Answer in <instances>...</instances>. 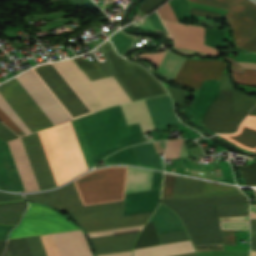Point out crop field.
I'll list each match as a JSON object with an SVG mask.
<instances>
[{
    "label": "crop field",
    "instance_id": "67",
    "mask_svg": "<svg viewBox=\"0 0 256 256\" xmlns=\"http://www.w3.org/2000/svg\"><path fill=\"white\" fill-rule=\"evenodd\" d=\"M100 256H132L131 251L128 252H121V253H114V254H107V255H100Z\"/></svg>",
    "mask_w": 256,
    "mask_h": 256
},
{
    "label": "crop field",
    "instance_id": "39",
    "mask_svg": "<svg viewBox=\"0 0 256 256\" xmlns=\"http://www.w3.org/2000/svg\"><path fill=\"white\" fill-rule=\"evenodd\" d=\"M219 217L249 215L248 204L217 206Z\"/></svg>",
    "mask_w": 256,
    "mask_h": 256
},
{
    "label": "crop field",
    "instance_id": "50",
    "mask_svg": "<svg viewBox=\"0 0 256 256\" xmlns=\"http://www.w3.org/2000/svg\"><path fill=\"white\" fill-rule=\"evenodd\" d=\"M221 229L249 230L248 221L220 222Z\"/></svg>",
    "mask_w": 256,
    "mask_h": 256
},
{
    "label": "crop field",
    "instance_id": "17",
    "mask_svg": "<svg viewBox=\"0 0 256 256\" xmlns=\"http://www.w3.org/2000/svg\"><path fill=\"white\" fill-rule=\"evenodd\" d=\"M27 200L45 204L55 209L83 206L73 182L49 192L25 195Z\"/></svg>",
    "mask_w": 256,
    "mask_h": 256
},
{
    "label": "crop field",
    "instance_id": "35",
    "mask_svg": "<svg viewBox=\"0 0 256 256\" xmlns=\"http://www.w3.org/2000/svg\"><path fill=\"white\" fill-rule=\"evenodd\" d=\"M105 161L106 163H128V164H135L140 166V163L137 159V156L132 146L122 149L106 157Z\"/></svg>",
    "mask_w": 256,
    "mask_h": 256
},
{
    "label": "crop field",
    "instance_id": "1",
    "mask_svg": "<svg viewBox=\"0 0 256 256\" xmlns=\"http://www.w3.org/2000/svg\"><path fill=\"white\" fill-rule=\"evenodd\" d=\"M71 122L88 168L120 148L145 142L138 123L127 126L120 105Z\"/></svg>",
    "mask_w": 256,
    "mask_h": 256
},
{
    "label": "crop field",
    "instance_id": "43",
    "mask_svg": "<svg viewBox=\"0 0 256 256\" xmlns=\"http://www.w3.org/2000/svg\"><path fill=\"white\" fill-rule=\"evenodd\" d=\"M0 108L6 113V115L26 134H31L22 121L18 118L15 112L11 109L8 103L0 95Z\"/></svg>",
    "mask_w": 256,
    "mask_h": 256
},
{
    "label": "crop field",
    "instance_id": "8",
    "mask_svg": "<svg viewBox=\"0 0 256 256\" xmlns=\"http://www.w3.org/2000/svg\"><path fill=\"white\" fill-rule=\"evenodd\" d=\"M32 69L72 119L91 113L53 63L43 64Z\"/></svg>",
    "mask_w": 256,
    "mask_h": 256
},
{
    "label": "crop field",
    "instance_id": "64",
    "mask_svg": "<svg viewBox=\"0 0 256 256\" xmlns=\"http://www.w3.org/2000/svg\"><path fill=\"white\" fill-rule=\"evenodd\" d=\"M90 53H91V55L93 56L92 52H90ZM93 57H94V56H93ZM94 59H95V57H94ZM95 61H96V63L98 64L99 68L102 70V72H103V74L105 75V77L112 75L111 72H110V70H109V67H108L106 61L100 62V63H98L96 59H95Z\"/></svg>",
    "mask_w": 256,
    "mask_h": 256
},
{
    "label": "crop field",
    "instance_id": "18",
    "mask_svg": "<svg viewBox=\"0 0 256 256\" xmlns=\"http://www.w3.org/2000/svg\"><path fill=\"white\" fill-rule=\"evenodd\" d=\"M0 189L25 191L8 144L0 139Z\"/></svg>",
    "mask_w": 256,
    "mask_h": 256
},
{
    "label": "crop field",
    "instance_id": "36",
    "mask_svg": "<svg viewBox=\"0 0 256 256\" xmlns=\"http://www.w3.org/2000/svg\"><path fill=\"white\" fill-rule=\"evenodd\" d=\"M243 194L237 187L205 182L203 196H222Z\"/></svg>",
    "mask_w": 256,
    "mask_h": 256
},
{
    "label": "crop field",
    "instance_id": "40",
    "mask_svg": "<svg viewBox=\"0 0 256 256\" xmlns=\"http://www.w3.org/2000/svg\"><path fill=\"white\" fill-rule=\"evenodd\" d=\"M224 32L205 28V44L214 48L227 46L224 42Z\"/></svg>",
    "mask_w": 256,
    "mask_h": 256
},
{
    "label": "crop field",
    "instance_id": "48",
    "mask_svg": "<svg viewBox=\"0 0 256 256\" xmlns=\"http://www.w3.org/2000/svg\"><path fill=\"white\" fill-rule=\"evenodd\" d=\"M243 174L245 185H256V163L249 167L240 168Z\"/></svg>",
    "mask_w": 256,
    "mask_h": 256
},
{
    "label": "crop field",
    "instance_id": "72",
    "mask_svg": "<svg viewBox=\"0 0 256 256\" xmlns=\"http://www.w3.org/2000/svg\"><path fill=\"white\" fill-rule=\"evenodd\" d=\"M249 114L250 115H256V107Z\"/></svg>",
    "mask_w": 256,
    "mask_h": 256
},
{
    "label": "crop field",
    "instance_id": "42",
    "mask_svg": "<svg viewBox=\"0 0 256 256\" xmlns=\"http://www.w3.org/2000/svg\"><path fill=\"white\" fill-rule=\"evenodd\" d=\"M168 3L171 5L178 22L186 16L191 8L187 0H170Z\"/></svg>",
    "mask_w": 256,
    "mask_h": 256
},
{
    "label": "crop field",
    "instance_id": "34",
    "mask_svg": "<svg viewBox=\"0 0 256 256\" xmlns=\"http://www.w3.org/2000/svg\"><path fill=\"white\" fill-rule=\"evenodd\" d=\"M133 147L141 164L162 167L151 142Z\"/></svg>",
    "mask_w": 256,
    "mask_h": 256
},
{
    "label": "crop field",
    "instance_id": "20",
    "mask_svg": "<svg viewBox=\"0 0 256 256\" xmlns=\"http://www.w3.org/2000/svg\"><path fill=\"white\" fill-rule=\"evenodd\" d=\"M139 231L90 239L96 255L128 251Z\"/></svg>",
    "mask_w": 256,
    "mask_h": 256
},
{
    "label": "crop field",
    "instance_id": "14",
    "mask_svg": "<svg viewBox=\"0 0 256 256\" xmlns=\"http://www.w3.org/2000/svg\"><path fill=\"white\" fill-rule=\"evenodd\" d=\"M224 69L225 64L221 61L186 60L174 83L198 89L206 79H220Z\"/></svg>",
    "mask_w": 256,
    "mask_h": 256
},
{
    "label": "crop field",
    "instance_id": "10",
    "mask_svg": "<svg viewBox=\"0 0 256 256\" xmlns=\"http://www.w3.org/2000/svg\"><path fill=\"white\" fill-rule=\"evenodd\" d=\"M15 78L53 125L71 120L70 116L49 92V90L45 87L32 69Z\"/></svg>",
    "mask_w": 256,
    "mask_h": 256
},
{
    "label": "crop field",
    "instance_id": "51",
    "mask_svg": "<svg viewBox=\"0 0 256 256\" xmlns=\"http://www.w3.org/2000/svg\"><path fill=\"white\" fill-rule=\"evenodd\" d=\"M165 1L166 0H144L143 3L140 5L139 9L146 14L157 8Z\"/></svg>",
    "mask_w": 256,
    "mask_h": 256
},
{
    "label": "crop field",
    "instance_id": "60",
    "mask_svg": "<svg viewBox=\"0 0 256 256\" xmlns=\"http://www.w3.org/2000/svg\"><path fill=\"white\" fill-rule=\"evenodd\" d=\"M74 60L79 65V67L81 69H83L84 71H89V70H93V69H97L98 68L96 63L92 64V63H89V62H85L81 58H75Z\"/></svg>",
    "mask_w": 256,
    "mask_h": 256
},
{
    "label": "crop field",
    "instance_id": "57",
    "mask_svg": "<svg viewBox=\"0 0 256 256\" xmlns=\"http://www.w3.org/2000/svg\"><path fill=\"white\" fill-rule=\"evenodd\" d=\"M0 138L8 141L11 139L18 138L11 130H9L6 126L0 123Z\"/></svg>",
    "mask_w": 256,
    "mask_h": 256
},
{
    "label": "crop field",
    "instance_id": "5",
    "mask_svg": "<svg viewBox=\"0 0 256 256\" xmlns=\"http://www.w3.org/2000/svg\"><path fill=\"white\" fill-rule=\"evenodd\" d=\"M54 64L92 112L132 101L113 76L91 82L72 59Z\"/></svg>",
    "mask_w": 256,
    "mask_h": 256
},
{
    "label": "crop field",
    "instance_id": "26",
    "mask_svg": "<svg viewBox=\"0 0 256 256\" xmlns=\"http://www.w3.org/2000/svg\"><path fill=\"white\" fill-rule=\"evenodd\" d=\"M219 93V80L204 81L199 92L196 104L190 110V114L202 121L209 106Z\"/></svg>",
    "mask_w": 256,
    "mask_h": 256
},
{
    "label": "crop field",
    "instance_id": "28",
    "mask_svg": "<svg viewBox=\"0 0 256 256\" xmlns=\"http://www.w3.org/2000/svg\"><path fill=\"white\" fill-rule=\"evenodd\" d=\"M150 222H154L158 234L184 229L177 215L162 203L148 223Z\"/></svg>",
    "mask_w": 256,
    "mask_h": 256
},
{
    "label": "crop field",
    "instance_id": "25",
    "mask_svg": "<svg viewBox=\"0 0 256 256\" xmlns=\"http://www.w3.org/2000/svg\"><path fill=\"white\" fill-rule=\"evenodd\" d=\"M226 138L238 146L256 150V116H247V118L241 123L239 130L235 134H221L219 135Z\"/></svg>",
    "mask_w": 256,
    "mask_h": 256
},
{
    "label": "crop field",
    "instance_id": "71",
    "mask_svg": "<svg viewBox=\"0 0 256 256\" xmlns=\"http://www.w3.org/2000/svg\"><path fill=\"white\" fill-rule=\"evenodd\" d=\"M250 209L256 212V205H250Z\"/></svg>",
    "mask_w": 256,
    "mask_h": 256
},
{
    "label": "crop field",
    "instance_id": "38",
    "mask_svg": "<svg viewBox=\"0 0 256 256\" xmlns=\"http://www.w3.org/2000/svg\"><path fill=\"white\" fill-rule=\"evenodd\" d=\"M10 256H33L26 238L8 240Z\"/></svg>",
    "mask_w": 256,
    "mask_h": 256
},
{
    "label": "crop field",
    "instance_id": "2",
    "mask_svg": "<svg viewBox=\"0 0 256 256\" xmlns=\"http://www.w3.org/2000/svg\"><path fill=\"white\" fill-rule=\"evenodd\" d=\"M127 167L95 170L73 180L84 206L123 200ZM123 201L63 209L75 221L121 215Z\"/></svg>",
    "mask_w": 256,
    "mask_h": 256
},
{
    "label": "crop field",
    "instance_id": "15",
    "mask_svg": "<svg viewBox=\"0 0 256 256\" xmlns=\"http://www.w3.org/2000/svg\"><path fill=\"white\" fill-rule=\"evenodd\" d=\"M26 153L40 189L55 187L38 134L22 137Z\"/></svg>",
    "mask_w": 256,
    "mask_h": 256
},
{
    "label": "crop field",
    "instance_id": "37",
    "mask_svg": "<svg viewBox=\"0 0 256 256\" xmlns=\"http://www.w3.org/2000/svg\"><path fill=\"white\" fill-rule=\"evenodd\" d=\"M21 196L0 192V201L24 199ZM26 208H27V202L20 203V204H6V205H0V212L23 214Z\"/></svg>",
    "mask_w": 256,
    "mask_h": 256
},
{
    "label": "crop field",
    "instance_id": "62",
    "mask_svg": "<svg viewBox=\"0 0 256 256\" xmlns=\"http://www.w3.org/2000/svg\"><path fill=\"white\" fill-rule=\"evenodd\" d=\"M163 173L153 171L151 189L161 187Z\"/></svg>",
    "mask_w": 256,
    "mask_h": 256
},
{
    "label": "crop field",
    "instance_id": "23",
    "mask_svg": "<svg viewBox=\"0 0 256 256\" xmlns=\"http://www.w3.org/2000/svg\"><path fill=\"white\" fill-rule=\"evenodd\" d=\"M159 196L160 189L126 194L123 215L154 211Z\"/></svg>",
    "mask_w": 256,
    "mask_h": 256
},
{
    "label": "crop field",
    "instance_id": "55",
    "mask_svg": "<svg viewBox=\"0 0 256 256\" xmlns=\"http://www.w3.org/2000/svg\"><path fill=\"white\" fill-rule=\"evenodd\" d=\"M147 83L157 93L158 96L167 94L160 82H158L153 76L146 79Z\"/></svg>",
    "mask_w": 256,
    "mask_h": 256
},
{
    "label": "crop field",
    "instance_id": "65",
    "mask_svg": "<svg viewBox=\"0 0 256 256\" xmlns=\"http://www.w3.org/2000/svg\"><path fill=\"white\" fill-rule=\"evenodd\" d=\"M86 74L91 79V81H93L95 79H98V78H103L104 77V75L102 74L100 69L94 70V71H90V72H86Z\"/></svg>",
    "mask_w": 256,
    "mask_h": 256
},
{
    "label": "crop field",
    "instance_id": "59",
    "mask_svg": "<svg viewBox=\"0 0 256 256\" xmlns=\"http://www.w3.org/2000/svg\"><path fill=\"white\" fill-rule=\"evenodd\" d=\"M148 17H149V19H150V21H151V23L153 24V26H154L155 29L166 32V30H165V28H164V26H163V24H162L160 18H159L158 15L156 14V12H154V13L148 15ZM166 33H167V32H166ZM166 33H165V34H166Z\"/></svg>",
    "mask_w": 256,
    "mask_h": 256
},
{
    "label": "crop field",
    "instance_id": "46",
    "mask_svg": "<svg viewBox=\"0 0 256 256\" xmlns=\"http://www.w3.org/2000/svg\"><path fill=\"white\" fill-rule=\"evenodd\" d=\"M175 179V175L165 173L161 199L173 198Z\"/></svg>",
    "mask_w": 256,
    "mask_h": 256
},
{
    "label": "crop field",
    "instance_id": "31",
    "mask_svg": "<svg viewBox=\"0 0 256 256\" xmlns=\"http://www.w3.org/2000/svg\"><path fill=\"white\" fill-rule=\"evenodd\" d=\"M47 256H59L51 234L39 236ZM38 236L29 237L28 242L34 256H46Z\"/></svg>",
    "mask_w": 256,
    "mask_h": 256
},
{
    "label": "crop field",
    "instance_id": "22",
    "mask_svg": "<svg viewBox=\"0 0 256 256\" xmlns=\"http://www.w3.org/2000/svg\"><path fill=\"white\" fill-rule=\"evenodd\" d=\"M152 212L131 215V216H118L112 217L108 219H100L93 221H86L77 223L81 226L85 232L102 230V229H110V228H118V227H126V226H134V225H142L145 224L148 218L151 216Z\"/></svg>",
    "mask_w": 256,
    "mask_h": 256
},
{
    "label": "crop field",
    "instance_id": "29",
    "mask_svg": "<svg viewBox=\"0 0 256 256\" xmlns=\"http://www.w3.org/2000/svg\"><path fill=\"white\" fill-rule=\"evenodd\" d=\"M152 171L128 167L125 193L150 189Z\"/></svg>",
    "mask_w": 256,
    "mask_h": 256
},
{
    "label": "crop field",
    "instance_id": "24",
    "mask_svg": "<svg viewBox=\"0 0 256 256\" xmlns=\"http://www.w3.org/2000/svg\"><path fill=\"white\" fill-rule=\"evenodd\" d=\"M26 191L39 190L20 139L8 143Z\"/></svg>",
    "mask_w": 256,
    "mask_h": 256
},
{
    "label": "crop field",
    "instance_id": "45",
    "mask_svg": "<svg viewBox=\"0 0 256 256\" xmlns=\"http://www.w3.org/2000/svg\"><path fill=\"white\" fill-rule=\"evenodd\" d=\"M158 236L161 244L189 240L185 230L160 234Z\"/></svg>",
    "mask_w": 256,
    "mask_h": 256
},
{
    "label": "crop field",
    "instance_id": "44",
    "mask_svg": "<svg viewBox=\"0 0 256 256\" xmlns=\"http://www.w3.org/2000/svg\"><path fill=\"white\" fill-rule=\"evenodd\" d=\"M232 75L235 83L256 86V71L245 70L244 74L232 73Z\"/></svg>",
    "mask_w": 256,
    "mask_h": 256
},
{
    "label": "crop field",
    "instance_id": "19",
    "mask_svg": "<svg viewBox=\"0 0 256 256\" xmlns=\"http://www.w3.org/2000/svg\"><path fill=\"white\" fill-rule=\"evenodd\" d=\"M60 256H92L82 231L52 234Z\"/></svg>",
    "mask_w": 256,
    "mask_h": 256
},
{
    "label": "crop field",
    "instance_id": "30",
    "mask_svg": "<svg viewBox=\"0 0 256 256\" xmlns=\"http://www.w3.org/2000/svg\"><path fill=\"white\" fill-rule=\"evenodd\" d=\"M204 181L177 176L174 198L202 196Z\"/></svg>",
    "mask_w": 256,
    "mask_h": 256
},
{
    "label": "crop field",
    "instance_id": "3",
    "mask_svg": "<svg viewBox=\"0 0 256 256\" xmlns=\"http://www.w3.org/2000/svg\"><path fill=\"white\" fill-rule=\"evenodd\" d=\"M161 201L181 218L193 245L222 243L216 205L248 203L245 195Z\"/></svg>",
    "mask_w": 256,
    "mask_h": 256
},
{
    "label": "crop field",
    "instance_id": "41",
    "mask_svg": "<svg viewBox=\"0 0 256 256\" xmlns=\"http://www.w3.org/2000/svg\"><path fill=\"white\" fill-rule=\"evenodd\" d=\"M20 217L21 215L0 213V224L17 225ZM9 225H0V239L6 240L8 231L14 227Z\"/></svg>",
    "mask_w": 256,
    "mask_h": 256
},
{
    "label": "crop field",
    "instance_id": "69",
    "mask_svg": "<svg viewBox=\"0 0 256 256\" xmlns=\"http://www.w3.org/2000/svg\"><path fill=\"white\" fill-rule=\"evenodd\" d=\"M6 241H0V256L3 253L4 247H5Z\"/></svg>",
    "mask_w": 256,
    "mask_h": 256
},
{
    "label": "crop field",
    "instance_id": "9",
    "mask_svg": "<svg viewBox=\"0 0 256 256\" xmlns=\"http://www.w3.org/2000/svg\"><path fill=\"white\" fill-rule=\"evenodd\" d=\"M0 93L32 133L52 126L15 78L0 85Z\"/></svg>",
    "mask_w": 256,
    "mask_h": 256
},
{
    "label": "crop field",
    "instance_id": "68",
    "mask_svg": "<svg viewBox=\"0 0 256 256\" xmlns=\"http://www.w3.org/2000/svg\"><path fill=\"white\" fill-rule=\"evenodd\" d=\"M158 153H163L164 146L162 142H154L153 143Z\"/></svg>",
    "mask_w": 256,
    "mask_h": 256
},
{
    "label": "crop field",
    "instance_id": "32",
    "mask_svg": "<svg viewBox=\"0 0 256 256\" xmlns=\"http://www.w3.org/2000/svg\"><path fill=\"white\" fill-rule=\"evenodd\" d=\"M184 60L185 58L167 52L157 70L162 77L173 82Z\"/></svg>",
    "mask_w": 256,
    "mask_h": 256
},
{
    "label": "crop field",
    "instance_id": "49",
    "mask_svg": "<svg viewBox=\"0 0 256 256\" xmlns=\"http://www.w3.org/2000/svg\"><path fill=\"white\" fill-rule=\"evenodd\" d=\"M181 141L182 139H175L168 142L165 159L177 157Z\"/></svg>",
    "mask_w": 256,
    "mask_h": 256
},
{
    "label": "crop field",
    "instance_id": "12",
    "mask_svg": "<svg viewBox=\"0 0 256 256\" xmlns=\"http://www.w3.org/2000/svg\"><path fill=\"white\" fill-rule=\"evenodd\" d=\"M72 229H75L74 226L63 217L45 207L38 206L30 209L22 224L11 236L38 232L46 234Z\"/></svg>",
    "mask_w": 256,
    "mask_h": 256
},
{
    "label": "crop field",
    "instance_id": "27",
    "mask_svg": "<svg viewBox=\"0 0 256 256\" xmlns=\"http://www.w3.org/2000/svg\"><path fill=\"white\" fill-rule=\"evenodd\" d=\"M121 106L128 125L139 122L143 132L155 129L144 100Z\"/></svg>",
    "mask_w": 256,
    "mask_h": 256
},
{
    "label": "crop field",
    "instance_id": "63",
    "mask_svg": "<svg viewBox=\"0 0 256 256\" xmlns=\"http://www.w3.org/2000/svg\"><path fill=\"white\" fill-rule=\"evenodd\" d=\"M240 48L252 51L256 53V36L243 44Z\"/></svg>",
    "mask_w": 256,
    "mask_h": 256
},
{
    "label": "crop field",
    "instance_id": "47",
    "mask_svg": "<svg viewBox=\"0 0 256 256\" xmlns=\"http://www.w3.org/2000/svg\"><path fill=\"white\" fill-rule=\"evenodd\" d=\"M111 40L116 48V50L121 55L127 47L134 41L118 32H116L112 37Z\"/></svg>",
    "mask_w": 256,
    "mask_h": 256
},
{
    "label": "crop field",
    "instance_id": "6",
    "mask_svg": "<svg viewBox=\"0 0 256 256\" xmlns=\"http://www.w3.org/2000/svg\"><path fill=\"white\" fill-rule=\"evenodd\" d=\"M99 48L106 58L113 76L133 101L157 96L144 80L151 76L145 68L119 57L120 55L116 54L109 41L103 43Z\"/></svg>",
    "mask_w": 256,
    "mask_h": 256
},
{
    "label": "crop field",
    "instance_id": "75",
    "mask_svg": "<svg viewBox=\"0 0 256 256\" xmlns=\"http://www.w3.org/2000/svg\"><path fill=\"white\" fill-rule=\"evenodd\" d=\"M251 234H256V232H251Z\"/></svg>",
    "mask_w": 256,
    "mask_h": 256
},
{
    "label": "crop field",
    "instance_id": "73",
    "mask_svg": "<svg viewBox=\"0 0 256 256\" xmlns=\"http://www.w3.org/2000/svg\"><path fill=\"white\" fill-rule=\"evenodd\" d=\"M250 256H256V252L251 251Z\"/></svg>",
    "mask_w": 256,
    "mask_h": 256
},
{
    "label": "crop field",
    "instance_id": "58",
    "mask_svg": "<svg viewBox=\"0 0 256 256\" xmlns=\"http://www.w3.org/2000/svg\"><path fill=\"white\" fill-rule=\"evenodd\" d=\"M224 245H236L234 231L231 230H221Z\"/></svg>",
    "mask_w": 256,
    "mask_h": 256
},
{
    "label": "crop field",
    "instance_id": "21",
    "mask_svg": "<svg viewBox=\"0 0 256 256\" xmlns=\"http://www.w3.org/2000/svg\"><path fill=\"white\" fill-rule=\"evenodd\" d=\"M145 101L156 129L180 123L173 112L171 99L168 95Z\"/></svg>",
    "mask_w": 256,
    "mask_h": 256
},
{
    "label": "crop field",
    "instance_id": "4",
    "mask_svg": "<svg viewBox=\"0 0 256 256\" xmlns=\"http://www.w3.org/2000/svg\"><path fill=\"white\" fill-rule=\"evenodd\" d=\"M38 134L57 186L88 170L70 121Z\"/></svg>",
    "mask_w": 256,
    "mask_h": 256
},
{
    "label": "crop field",
    "instance_id": "66",
    "mask_svg": "<svg viewBox=\"0 0 256 256\" xmlns=\"http://www.w3.org/2000/svg\"><path fill=\"white\" fill-rule=\"evenodd\" d=\"M164 54H160V55H148V56H145L147 57L148 59H150L151 61L155 62L156 64L159 65L161 59L163 58Z\"/></svg>",
    "mask_w": 256,
    "mask_h": 256
},
{
    "label": "crop field",
    "instance_id": "56",
    "mask_svg": "<svg viewBox=\"0 0 256 256\" xmlns=\"http://www.w3.org/2000/svg\"><path fill=\"white\" fill-rule=\"evenodd\" d=\"M0 120L18 135L23 134V132L5 115V113L1 109H0Z\"/></svg>",
    "mask_w": 256,
    "mask_h": 256
},
{
    "label": "crop field",
    "instance_id": "16",
    "mask_svg": "<svg viewBox=\"0 0 256 256\" xmlns=\"http://www.w3.org/2000/svg\"><path fill=\"white\" fill-rule=\"evenodd\" d=\"M163 23L173 38L175 47L218 55L216 49L203 45L204 27L187 26L164 21Z\"/></svg>",
    "mask_w": 256,
    "mask_h": 256
},
{
    "label": "crop field",
    "instance_id": "74",
    "mask_svg": "<svg viewBox=\"0 0 256 256\" xmlns=\"http://www.w3.org/2000/svg\"><path fill=\"white\" fill-rule=\"evenodd\" d=\"M3 256H9V255H8V252H7V249H6V251H5V253H4Z\"/></svg>",
    "mask_w": 256,
    "mask_h": 256
},
{
    "label": "crop field",
    "instance_id": "33",
    "mask_svg": "<svg viewBox=\"0 0 256 256\" xmlns=\"http://www.w3.org/2000/svg\"><path fill=\"white\" fill-rule=\"evenodd\" d=\"M232 88L234 110H247L250 111L256 105V98L249 97L238 93L232 86L228 74H223L220 80V89Z\"/></svg>",
    "mask_w": 256,
    "mask_h": 256
},
{
    "label": "crop field",
    "instance_id": "7",
    "mask_svg": "<svg viewBox=\"0 0 256 256\" xmlns=\"http://www.w3.org/2000/svg\"><path fill=\"white\" fill-rule=\"evenodd\" d=\"M196 3L229 10L241 0H190ZM234 31V39L239 47L256 35V5L243 0L225 14Z\"/></svg>",
    "mask_w": 256,
    "mask_h": 256
},
{
    "label": "crop field",
    "instance_id": "70",
    "mask_svg": "<svg viewBox=\"0 0 256 256\" xmlns=\"http://www.w3.org/2000/svg\"><path fill=\"white\" fill-rule=\"evenodd\" d=\"M179 256H198L196 252L194 253H189V254H184V255H179Z\"/></svg>",
    "mask_w": 256,
    "mask_h": 256
},
{
    "label": "crop field",
    "instance_id": "61",
    "mask_svg": "<svg viewBox=\"0 0 256 256\" xmlns=\"http://www.w3.org/2000/svg\"><path fill=\"white\" fill-rule=\"evenodd\" d=\"M256 219V213L251 212V218ZM251 231H256V220H250ZM251 250H256V235H251Z\"/></svg>",
    "mask_w": 256,
    "mask_h": 256
},
{
    "label": "crop field",
    "instance_id": "11",
    "mask_svg": "<svg viewBox=\"0 0 256 256\" xmlns=\"http://www.w3.org/2000/svg\"><path fill=\"white\" fill-rule=\"evenodd\" d=\"M247 113V111H233L231 89L220 90L202 124L217 133H231L237 130L238 124Z\"/></svg>",
    "mask_w": 256,
    "mask_h": 256
},
{
    "label": "crop field",
    "instance_id": "54",
    "mask_svg": "<svg viewBox=\"0 0 256 256\" xmlns=\"http://www.w3.org/2000/svg\"><path fill=\"white\" fill-rule=\"evenodd\" d=\"M168 91L170 92L173 101L175 103V106L184 103L186 101V99L183 96L182 90L180 89H175V88H170L167 87Z\"/></svg>",
    "mask_w": 256,
    "mask_h": 256
},
{
    "label": "crop field",
    "instance_id": "53",
    "mask_svg": "<svg viewBox=\"0 0 256 256\" xmlns=\"http://www.w3.org/2000/svg\"><path fill=\"white\" fill-rule=\"evenodd\" d=\"M190 15H195V16H200V17H205V18H214V19H221L222 15L213 13V12H208L204 10H199L192 8V10L189 12Z\"/></svg>",
    "mask_w": 256,
    "mask_h": 256
},
{
    "label": "crop field",
    "instance_id": "52",
    "mask_svg": "<svg viewBox=\"0 0 256 256\" xmlns=\"http://www.w3.org/2000/svg\"><path fill=\"white\" fill-rule=\"evenodd\" d=\"M161 19L168 20V21H175L177 22L173 12L171 11L168 3L165 4L163 7H161L159 10H157Z\"/></svg>",
    "mask_w": 256,
    "mask_h": 256
},
{
    "label": "crop field",
    "instance_id": "13",
    "mask_svg": "<svg viewBox=\"0 0 256 256\" xmlns=\"http://www.w3.org/2000/svg\"><path fill=\"white\" fill-rule=\"evenodd\" d=\"M157 244H160V243L158 240V236H157L154 224L151 223V224H147V226L144 228L134 248L157 245ZM194 251L195 249L191 241H187V242H179V243L137 248V249H134L133 255L134 256H172V255H178V254L194 252Z\"/></svg>",
    "mask_w": 256,
    "mask_h": 256
}]
</instances>
